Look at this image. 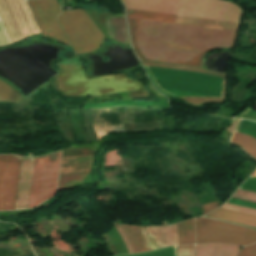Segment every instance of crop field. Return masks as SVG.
<instances>
[{"mask_svg": "<svg viewBox=\"0 0 256 256\" xmlns=\"http://www.w3.org/2000/svg\"><path fill=\"white\" fill-rule=\"evenodd\" d=\"M58 19L76 54L96 51L106 39L84 10L62 12Z\"/></svg>", "mask_w": 256, "mask_h": 256, "instance_id": "412701ff", "label": "crop field"}, {"mask_svg": "<svg viewBox=\"0 0 256 256\" xmlns=\"http://www.w3.org/2000/svg\"><path fill=\"white\" fill-rule=\"evenodd\" d=\"M207 217L256 227V216L219 208Z\"/></svg>", "mask_w": 256, "mask_h": 256, "instance_id": "22f410ed", "label": "crop field"}, {"mask_svg": "<svg viewBox=\"0 0 256 256\" xmlns=\"http://www.w3.org/2000/svg\"><path fill=\"white\" fill-rule=\"evenodd\" d=\"M239 256H256V244L245 247Z\"/></svg>", "mask_w": 256, "mask_h": 256, "instance_id": "a9b5d70f", "label": "crop field"}, {"mask_svg": "<svg viewBox=\"0 0 256 256\" xmlns=\"http://www.w3.org/2000/svg\"><path fill=\"white\" fill-rule=\"evenodd\" d=\"M218 207L217 202H212V203H208L204 205V214H206L207 212L211 211L212 209Z\"/></svg>", "mask_w": 256, "mask_h": 256, "instance_id": "eef30255", "label": "crop field"}, {"mask_svg": "<svg viewBox=\"0 0 256 256\" xmlns=\"http://www.w3.org/2000/svg\"><path fill=\"white\" fill-rule=\"evenodd\" d=\"M11 44L0 21V47Z\"/></svg>", "mask_w": 256, "mask_h": 256, "instance_id": "4177f3b9", "label": "crop field"}, {"mask_svg": "<svg viewBox=\"0 0 256 256\" xmlns=\"http://www.w3.org/2000/svg\"><path fill=\"white\" fill-rule=\"evenodd\" d=\"M123 256H177V254H176V246H170V247L162 248V249L147 252V253L123 255Z\"/></svg>", "mask_w": 256, "mask_h": 256, "instance_id": "bc2a9ffb", "label": "crop field"}, {"mask_svg": "<svg viewBox=\"0 0 256 256\" xmlns=\"http://www.w3.org/2000/svg\"><path fill=\"white\" fill-rule=\"evenodd\" d=\"M114 225H115L117 231H118V232L120 233V235L122 236V238H123V240H124V242H125V245H126L128 251H129V253H133L132 250H131V248H130V246H129V244H128V241H127L126 237L124 236V234H123V232H122V230L119 228V226H118L116 223H114Z\"/></svg>", "mask_w": 256, "mask_h": 256, "instance_id": "730fd06b", "label": "crop field"}, {"mask_svg": "<svg viewBox=\"0 0 256 256\" xmlns=\"http://www.w3.org/2000/svg\"><path fill=\"white\" fill-rule=\"evenodd\" d=\"M141 62L142 64L149 66L173 68L223 77L224 94L222 78L220 77L173 69L144 66L155 87L166 95L222 98L223 94V98H225L226 75L224 74L183 66L157 64L143 61Z\"/></svg>", "mask_w": 256, "mask_h": 256, "instance_id": "ac0d7876", "label": "crop field"}, {"mask_svg": "<svg viewBox=\"0 0 256 256\" xmlns=\"http://www.w3.org/2000/svg\"><path fill=\"white\" fill-rule=\"evenodd\" d=\"M60 156L61 152L35 158L28 208L37 206L56 191Z\"/></svg>", "mask_w": 256, "mask_h": 256, "instance_id": "dd49c442", "label": "crop field"}, {"mask_svg": "<svg viewBox=\"0 0 256 256\" xmlns=\"http://www.w3.org/2000/svg\"><path fill=\"white\" fill-rule=\"evenodd\" d=\"M61 73L56 76L62 96L105 95L141 89L139 82L129 80L125 74L87 80L82 66L58 64Z\"/></svg>", "mask_w": 256, "mask_h": 256, "instance_id": "34b2d1b8", "label": "crop field"}, {"mask_svg": "<svg viewBox=\"0 0 256 256\" xmlns=\"http://www.w3.org/2000/svg\"><path fill=\"white\" fill-rule=\"evenodd\" d=\"M12 90L13 88H11L6 83L0 81V101H8Z\"/></svg>", "mask_w": 256, "mask_h": 256, "instance_id": "92a150f3", "label": "crop field"}, {"mask_svg": "<svg viewBox=\"0 0 256 256\" xmlns=\"http://www.w3.org/2000/svg\"><path fill=\"white\" fill-rule=\"evenodd\" d=\"M238 249L224 244H205L196 246V256H236Z\"/></svg>", "mask_w": 256, "mask_h": 256, "instance_id": "d9b57169", "label": "crop field"}, {"mask_svg": "<svg viewBox=\"0 0 256 256\" xmlns=\"http://www.w3.org/2000/svg\"><path fill=\"white\" fill-rule=\"evenodd\" d=\"M28 3L45 37L70 45L56 20L61 11L56 0H34Z\"/></svg>", "mask_w": 256, "mask_h": 256, "instance_id": "5a996713", "label": "crop field"}, {"mask_svg": "<svg viewBox=\"0 0 256 256\" xmlns=\"http://www.w3.org/2000/svg\"><path fill=\"white\" fill-rule=\"evenodd\" d=\"M179 245L194 244L195 229L194 220L177 224Z\"/></svg>", "mask_w": 256, "mask_h": 256, "instance_id": "733c2abd", "label": "crop field"}, {"mask_svg": "<svg viewBox=\"0 0 256 256\" xmlns=\"http://www.w3.org/2000/svg\"><path fill=\"white\" fill-rule=\"evenodd\" d=\"M178 256H194V246H177Z\"/></svg>", "mask_w": 256, "mask_h": 256, "instance_id": "00972430", "label": "crop field"}, {"mask_svg": "<svg viewBox=\"0 0 256 256\" xmlns=\"http://www.w3.org/2000/svg\"><path fill=\"white\" fill-rule=\"evenodd\" d=\"M33 158H23L16 209L27 208Z\"/></svg>", "mask_w": 256, "mask_h": 256, "instance_id": "d1516ede", "label": "crop field"}, {"mask_svg": "<svg viewBox=\"0 0 256 256\" xmlns=\"http://www.w3.org/2000/svg\"><path fill=\"white\" fill-rule=\"evenodd\" d=\"M21 158L0 156V210L14 209Z\"/></svg>", "mask_w": 256, "mask_h": 256, "instance_id": "d8731c3e", "label": "crop field"}, {"mask_svg": "<svg viewBox=\"0 0 256 256\" xmlns=\"http://www.w3.org/2000/svg\"><path fill=\"white\" fill-rule=\"evenodd\" d=\"M196 244L227 243L247 245L256 243V231L205 218H196Z\"/></svg>", "mask_w": 256, "mask_h": 256, "instance_id": "f4fd0767", "label": "crop field"}, {"mask_svg": "<svg viewBox=\"0 0 256 256\" xmlns=\"http://www.w3.org/2000/svg\"><path fill=\"white\" fill-rule=\"evenodd\" d=\"M234 198L256 202V193L238 189L233 195Z\"/></svg>", "mask_w": 256, "mask_h": 256, "instance_id": "214f88e0", "label": "crop field"}, {"mask_svg": "<svg viewBox=\"0 0 256 256\" xmlns=\"http://www.w3.org/2000/svg\"><path fill=\"white\" fill-rule=\"evenodd\" d=\"M134 253L152 250L144 227L119 225Z\"/></svg>", "mask_w": 256, "mask_h": 256, "instance_id": "28ad6ade", "label": "crop field"}, {"mask_svg": "<svg viewBox=\"0 0 256 256\" xmlns=\"http://www.w3.org/2000/svg\"><path fill=\"white\" fill-rule=\"evenodd\" d=\"M159 246L178 245L176 224L165 227H146Z\"/></svg>", "mask_w": 256, "mask_h": 256, "instance_id": "5142ce71", "label": "crop field"}, {"mask_svg": "<svg viewBox=\"0 0 256 256\" xmlns=\"http://www.w3.org/2000/svg\"><path fill=\"white\" fill-rule=\"evenodd\" d=\"M0 18L12 44L39 33L25 0H0Z\"/></svg>", "mask_w": 256, "mask_h": 256, "instance_id": "e52e79f7", "label": "crop field"}, {"mask_svg": "<svg viewBox=\"0 0 256 256\" xmlns=\"http://www.w3.org/2000/svg\"><path fill=\"white\" fill-rule=\"evenodd\" d=\"M253 175H256V171L253 173ZM253 175H251L250 178L245 183H243L239 188L256 192V176Z\"/></svg>", "mask_w": 256, "mask_h": 256, "instance_id": "dafd665d", "label": "crop field"}, {"mask_svg": "<svg viewBox=\"0 0 256 256\" xmlns=\"http://www.w3.org/2000/svg\"><path fill=\"white\" fill-rule=\"evenodd\" d=\"M227 203L228 204H232V205L242 206V207L251 208V209H255L256 210V204L255 203H251V202H246V201L230 198ZM228 204H225L224 206H222V208L231 209V210H235V211H240V212L256 215V211L255 210L246 209V208L237 207V206H232V205H228Z\"/></svg>", "mask_w": 256, "mask_h": 256, "instance_id": "4a817a6b", "label": "crop field"}, {"mask_svg": "<svg viewBox=\"0 0 256 256\" xmlns=\"http://www.w3.org/2000/svg\"><path fill=\"white\" fill-rule=\"evenodd\" d=\"M236 132L256 138V123L241 120ZM237 133L234 134L231 142L241 146L249 155L256 158V139Z\"/></svg>", "mask_w": 256, "mask_h": 256, "instance_id": "3316defc", "label": "crop field"}, {"mask_svg": "<svg viewBox=\"0 0 256 256\" xmlns=\"http://www.w3.org/2000/svg\"><path fill=\"white\" fill-rule=\"evenodd\" d=\"M122 2L125 8L129 9L238 23H241L243 16L242 10L237 5L221 0H122ZM129 9H126V11L131 39L134 51L139 59L144 57L176 63L180 61L190 62L207 48L231 47L236 32L233 30H237L232 46L234 47L241 25ZM139 18L233 30L140 19V51L142 57L139 51ZM211 50L213 49H207L190 63L181 62L180 64L202 67L204 54Z\"/></svg>", "mask_w": 256, "mask_h": 256, "instance_id": "8a807250", "label": "crop field"}, {"mask_svg": "<svg viewBox=\"0 0 256 256\" xmlns=\"http://www.w3.org/2000/svg\"><path fill=\"white\" fill-rule=\"evenodd\" d=\"M109 37L130 46L124 15L106 18Z\"/></svg>", "mask_w": 256, "mask_h": 256, "instance_id": "cbeb9de0", "label": "crop field"}]
</instances>
